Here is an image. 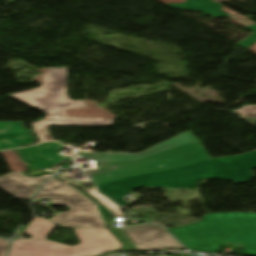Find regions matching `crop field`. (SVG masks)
Listing matches in <instances>:
<instances>
[{
  "mask_svg": "<svg viewBox=\"0 0 256 256\" xmlns=\"http://www.w3.org/2000/svg\"><path fill=\"white\" fill-rule=\"evenodd\" d=\"M96 161L98 170L84 171L100 192L121 204L122 195L142 186L196 189V182L218 178L245 182L256 167V151L209 159L190 132L179 135L139 154L82 153Z\"/></svg>",
  "mask_w": 256,
  "mask_h": 256,
  "instance_id": "obj_1",
  "label": "crop field"
},
{
  "mask_svg": "<svg viewBox=\"0 0 256 256\" xmlns=\"http://www.w3.org/2000/svg\"><path fill=\"white\" fill-rule=\"evenodd\" d=\"M168 230L192 251L217 254L225 242L256 255V213H214L199 223Z\"/></svg>",
  "mask_w": 256,
  "mask_h": 256,
  "instance_id": "obj_2",
  "label": "crop field"
},
{
  "mask_svg": "<svg viewBox=\"0 0 256 256\" xmlns=\"http://www.w3.org/2000/svg\"><path fill=\"white\" fill-rule=\"evenodd\" d=\"M43 84L37 89L10 96L27 103L47 115L35 122L33 127L40 138L39 143L52 141L46 131L48 126H110L114 120L66 117L63 111L86 107L83 101L70 100L67 92V67L54 68L42 76Z\"/></svg>",
  "mask_w": 256,
  "mask_h": 256,
  "instance_id": "obj_3",
  "label": "crop field"
},
{
  "mask_svg": "<svg viewBox=\"0 0 256 256\" xmlns=\"http://www.w3.org/2000/svg\"><path fill=\"white\" fill-rule=\"evenodd\" d=\"M55 226L35 217L24 231L32 238L15 240L10 256H93L121 247L107 229H76L81 244L74 247L44 240Z\"/></svg>",
  "mask_w": 256,
  "mask_h": 256,
  "instance_id": "obj_4",
  "label": "crop field"
},
{
  "mask_svg": "<svg viewBox=\"0 0 256 256\" xmlns=\"http://www.w3.org/2000/svg\"><path fill=\"white\" fill-rule=\"evenodd\" d=\"M35 198L51 199L50 205H67L69 212L57 213L51 222L63 227L103 228L102 219L96 203L86 198L74 187L58 179L47 181L43 190Z\"/></svg>",
  "mask_w": 256,
  "mask_h": 256,
  "instance_id": "obj_5",
  "label": "crop field"
},
{
  "mask_svg": "<svg viewBox=\"0 0 256 256\" xmlns=\"http://www.w3.org/2000/svg\"><path fill=\"white\" fill-rule=\"evenodd\" d=\"M137 250H164V248L185 249L164 228L150 224L137 225L122 229Z\"/></svg>",
  "mask_w": 256,
  "mask_h": 256,
  "instance_id": "obj_6",
  "label": "crop field"
},
{
  "mask_svg": "<svg viewBox=\"0 0 256 256\" xmlns=\"http://www.w3.org/2000/svg\"><path fill=\"white\" fill-rule=\"evenodd\" d=\"M63 146L57 143H46L37 147L25 148L20 152L23 161L27 162L33 169H51L63 161H71V158L57 156Z\"/></svg>",
  "mask_w": 256,
  "mask_h": 256,
  "instance_id": "obj_7",
  "label": "crop field"
},
{
  "mask_svg": "<svg viewBox=\"0 0 256 256\" xmlns=\"http://www.w3.org/2000/svg\"><path fill=\"white\" fill-rule=\"evenodd\" d=\"M50 176L44 175L35 179H27L20 172L8 173L0 176V188L12 194L15 198L30 200Z\"/></svg>",
  "mask_w": 256,
  "mask_h": 256,
  "instance_id": "obj_8",
  "label": "crop field"
},
{
  "mask_svg": "<svg viewBox=\"0 0 256 256\" xmlns=\"http://www.w3.org/2000/svg\"><path fill=\"white\" fill-rule=\"evenodd\" d=\"M30 136L22 128L21 122H0V150L31 142Z\"/></svg>",
  "mask_w": 256,
  "mask_h": 256,
  "instance_id": "obj_9",
  "label": "crop field"
},
{
  "mask_svg": "<svg viewBox=\"0 0 256 256\" xmlns=\"http://www.w3.org/2000/svg\"><path fill=\"white\" fill-rule=\"evenodd\" d=\"M212 0H189L185 4H166L171 8H184V9H194V10H200L212 17H229L222 13V10L220 7L214 5L211 3Z\"/></svg>",
  "mask_w": 256,
  "mask_h": 256,
  "instance_id": "obj_10",
  "label": "crop field"
},
{
  "mask_svg": "<svg viewBox=\"0 0 256 256\" xmlns=\"http://www.w3.org/2000/svg\"><path fill=\"white\" fill-rule=\"evenodd\" d=\"M59 178L62 179V180H65V179H63V175L59 176ZM65 181H67V182H69V183H71V184H74V185H76V186H78V187H80V188H82V189L88 191L92 197H94V198H96L98 201H100L101 204H103V205H104L108 210H110L113 214H115V215H117V216H123V213H122V211H121L120 206L116 205L114 202H112V201H111L110 199H108L107 197H105V196H103V195L97 193V192H96V187H94V188H92V189H85V188L79 186V184H77V183H73V182L68 181V180H65Z\"/></svg>",
  "mask_w": 256,
  "mask_h": 256,
  "instance_id": "obj_11",
  "label": "crop field"
},
{
  "mask_svg": "<svg viewBox=\"0 0 256 256\" xmlns=\"http://www.w3.org/2000/svg\"><path fill=\"white\" fill-rule=\"evenodd\" d=\"M233 112L239 114L242 118L248 120L252 124L256 123V106H244Z\"/></svg>",
  "mask_w": 256,
  "mask_h": 256,
  "instance_id": "obj_12",
  "label": "crop field"
},
{
  "mask_svg": "<svg viewBox=\"0 0 256 256\" xmlns=\"http://www.w3.org/2000/svg\"><path fill=\"white\" fill-rule=\"evenodd\" d=\"M246 28L252 30L254 33L251 36H249L247 40H243L237 43L238 45L243 46L245 48L251 46L253 43L256 42V25L255 26L250 25Z\"/></svg>",
  "mask_w": 256,
  "mask_h": 256,
  "instance_id": "obj_13",
  "label": "crop field"
},
{
  "mask_svg": "<svg viewBox=\"0 0 256 256\" xmlns=\"http://www.w3.org/2000/svg\"><path fill=\"white\" fill-rule=\"evenodd\" d=\"M111 230L117 236V238L124 244V249L134 248L121 229H111Z\"/></svg>",
  "mask_w": 256,
  "mask_h": 256,
  "instance_id": "obj_14",
  "label": "crop field"
},
{
  "mask_svg": "<svg viewBox=\"0 0 256 256\" xmlns=\"http://www.w3.org/2000/svg\"><path fill=\"white\" fill-rule=\"evenodd\" d=\"M10 246V241L0 238V256H5Z\"/></svg>",
  "mask_w": 256,
  "mask_h": 256,
  "instance_id": "obj_15",
  "label": "crop field"
},
{
  "mask_svg": "<svg viewBox=\"0 0 256 256\" xmlns=\"http://www.w3.org/2000/svg\"><path fill=\"white\" fill-rule=\"evenodd\" d=\"M213 3H215V4L219 5V6H222V5H220V4H218V3L214 2V1H213Z\"/></svg>",
  "mask_w": 256,
  "mask_h": 256,
  "instance_id": "obj_16",
  "label": "crop field"
}]
</instances>
